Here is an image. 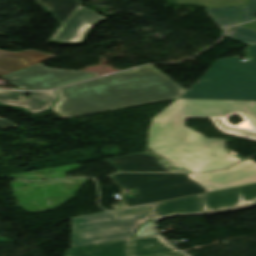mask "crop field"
<instances>
[{"instance_id": "1", "label": "crop field", "mask_w": 256, "mask_h": 256, "mask_svg": "<svg viewBox=\"0 0 256 256\" xmlns=\"http://www.w3.org/2000/svg\"><path fill=\"white\" fill-rule=\"evenodd\" d=\"M232 112H240L256 130V102L177 99L153 118L148 148L191 172L226 168L240 160L224 149L229 141L207 139L187 129L184 121L187 116L210 117L226 131L256 137V131L224 123Z\"/></svg>"}, {"instance_id": "2", "label": "crop field", "mask_w": 256, "mask_h": 256, "mask_svg": "<svg viewBox=\"0 0 256 256\" xmlns=\"http://www.w3.org/2000/svg\"><path fill=\"white\" fill-rule=\"evenodd\" d=\"M187 90L153 65L57 90L60 118L174 100ZM58 95V96H59Z\"/></svg>"}, {"instance_id": "3", "label": "crop field", "mask_w": 256, "mask_h": 256, "mask_svg": "<svg viewBox=\"0 0 256 256\" xmlns=\"http://www.w3.org/2000/svg\"><path fill=\"white\" fill-rule=\"evenodd\" d=\"M193 175L211 189L185 174L121 173L109 178L122 189L134 188L138 197L122 196L128 206H133L256 183V163L245 160L228 169Z\"/></svg>"}, {"instance_id": "4", "label": "crop field", "mask_w": 256, "mask_h": 256, "mask_svg": "<svg viewBox=\"0 0 256 256\" xmlns=\"http://www.w3.org/2000/svg\"><path fill=\"white\" fill-rule=\"evenodd\" d=\"M247 55L218 59L181 98L256 100V46Z\"/></svg>"}, {"instance_id": "5", "label": "crop field", "mask_w": 256, "mask_h": 256, "mask_svg": "<svg viewBox=\"0 0 256 256\" xmlns=\"http://www.w3.org/2000/svg\"><path fill=\"white\" fill-rule=\"evenodd\" d=\"M149 212L118 217L115 212L72 220L70 248L131 237Z\"/></svg>"}, {"instance_id": "6", "label": "crop field", "mask_w": 256, "mask_h": 256, "mask_svg": "<svg viewBox=\"0 0 256 256\" xmlns=\"http://www.w3.org/2000/svg\"><path fill=\"white\" fill-rule=\"evenodd\" d=\"M98 76L96 73L52 70L38 64L1 76V78L20 89L34 90L54 88Z\"/></svg>"}, {"instance_id": "7", "label": "crop field", "mask_w": 256, "mask_h": 256, "mask_svg": "<svg viewBox=\"0 0 256 256\" xmlns=\"http://www.w3.org/2000/svg\"><path fill=\"white\" fill-rule=\"evenodd\" d=\"M104 19L106 18L100 14L80 5L75 13L59 28L49 43L81 45L92 27Z\"/></svg>"}, {"instance_id": "8", "label": "crop field", "mask_w": 256, "mask_h": 256, "mask_svg": "<svg viewBox=\"0 0 256 256\" xmlns=\"http://www.w3.org/2000/svg\"><path fill=\"white\" fill-rule=\"evenodd\" d=\"M204 213L256 205V184L203 194Z\"/></svg>"}, {"instance_id": "9", "label": "crop field", "mask_w": 256, "mask_h": 256, "mask_svg": "<svg viewBox=\"0 0 256 256\" xmlns=\"http://www.w3.org/2000/svg\"><path fill=\"white\" fill-rule=\"evenodd\" d=\"M24 93H29L30 98H25ZM56 101L57 95L54 90L38 92L0 91V102L26 108L32 113L48 110Z\"/></svg>"}, {"instance_id": "10", "label": "crop field", "mask_w": 256, "mask_h": 256, "mask_svg": "<svg viewBox=\"0 0 256 256\" xmlns=\"http://www.w3.org/2000/svg\"><path fill=\"white\" fill-rule=\"evenodd\" d=\"M55 57V55L36 50H24L18 52L0 50V76Z\"/></svg>"}, {"instance_id": "11", "label": "crop field", "mask_w": 256, "mask_h": 256, "mask_svg": "<svg viewBox=\"0 0 256 256\" xmlns=\"http://www.w3.org/2000/svg\"><path fill=\"white\" fill-rule=\"evenodd\" d=\"M155 204V218L182 214L203 213L202 194Z\"/></svg>"}, {"instance_id": "12", "label": "crop field", "mask_w": 256, "mask_h": 256, "mask_svg": "<svg viewBox=\"0 0 256 256\" xmlns=\"http://www.w3.org/2000/svg\"><path fill=\"white\" fill-rule=\"evenodd\" d=\"M117 172L141 171V172H169L162 167L156 157L148 155H131L106 160Z\"/></svg>"}, {"instance_id": "13", "label": "crop field", "mask_w": 256, "mask_h": 256, "mask_svg": "<svg viewBox=\"0 0 256 256\" xmlns=\"http://www.w3.org/2000/svg\"><path fill=\"white\" fill-rule=\"evenodd\" d=\"M131 238L72 248L64 256H129Z\"/></svg>"}, {"instance_id": "14", "label": "crop field", "mask_w": 256, "mask_h": 256, "mask_svg": "<svg viewBox=\"0 0 256 256\" xmlns=\"http://www.w3.org/2000/svg\"><path fill=\"white\" fill-rule=\"evenodd\" d=\"M158 235L133 238L132 256H143L158 253L174 252Z\"/></svg>"}, {"instance_id": "15", "label": "crop field", "mask_w": 256, "mask_h": 256, "mask_svg": "<svg viewBox=\"0 0 256 256\" xmlns=\"http://www.w3.org/2000/svg\"><path fill=\"white\" fill-rule=\"evenodd\" d=\"M51 17L62 24L78 6V0H35Z\"/></svg>"}, {"instance_id": "16", "label": "crop field", "mask_w": 256, "mask_h": 256, "mask_svg": "<svg viewBox=\"0 0 256 256\" xmlns=\"http://www.w3.org/2000/svg\"><path fill=\"white\" fill-rule=\"evenodd\" d=\"M238 9L239 6L210 8L205 10L224 31L226 27L239 23Z\"/></svg>"}, {"instance_id": "17", "label": "crop field", "mask_w": 256, "mask_h": 256, "mask_svg": "<svg viewBox=\"0 0 256 256\" xmlns=\"http://www.w3.org/2000/svg\"><path fill=\"white\" fill-rule=\"evenodd\" d=\"M225 35L246 45L256 44V32L242 25L230 28Z\"/></svg>"}, {"instance_id": "18", "label": "crop field", "mask_w": 256, "mask_h": 256, "mask_svg": "<svg viewBox=\"0 0 256 256\" xmlns=\"http://www.w3.org/2000/svg\"><path fill=\"white\" fill-rule=\"evenodd\" d=\"M177 5L194 4L203 8L246 4L247 0H175Z\"/></svg>"}, {"instance_id": "19", "label": "crop field", "mask_w": 256, "mask_h": 256, "mask_svg": "<svg viewBox=\"0 0 256 256\" xmlns=\"http://www.w3.org/2000/svg\"><path fill=\"white\" fill-rule=\"evenodd\" d=\"M256 19V0H250L249 5L241 6V23Z\"/></svg>"}, {"instance_id": "20", "label": "crop field", "mask_w": 256, "mask_h": 256, "mask_svg": "<svg viewBox=\"0 0 256 256\" xmlns=\"http://www.w3.org/2000/svg\"><path fill=\"white\" fill-rule=\"evenodd\" d=\"M153 223L154 221L152 220L146 222L140 229L137 230L133 237L156 234L153 228Z\"/></svg>"}, {"instance_id": "21", "label": "crop field", "mask_w": 256, "mask_h": 256, "mask_svg": "<svg viewBox=\"0 0 256 256\" xmlns=\"http://www.w3.org/2000/svg\"><path fill=\"white\" fill-rule=\"evenodd\" d=\"M145 211H149V206L117 211L116 213L118 216H121V215H127V214H133V213H139V212H145Z\"/></svg>"}, {"instance_id": "22", "label": "crop field", "mask_w": 256, "mask_h": 256, "mask_svg": "<svg viewBox=\"0 0 256 256\" xmlns=\"http://www.w3.org/2000/svg\"><path fill=\"white\" fill-rule=\"evenodd\" d=\"M235 114H238V115H240V116L243 118V116H242L240 113H232V114H229L227 117H225V118L223 119V120L225 121V123H226V124H230L226 119L229 118V117L232 116V115H235ZM243 119H244V118H243ZM230 125H231V124H230ZM237 126L254 130V129L250 126V124H249L245 119H244L243 122H241V123L238 124Z\"/></svg>"}, {"instance_id": "23", "label": "crop field", "mask_w": 256, "mask_h": 256, "mask_svg": "<svg viewBox=\"0 0 256 256\" xmlns=\"http://www.w3.org/2000/svg\"><path fill=\"white\" fill-rule=\"evenodd\" d=\"M7 127H17L14 124H12L11 122L5 120V119H1L0 118V128H7Z\"/></svg>"}, {"instance_id": "24", "label": "crop field", "mask_w": 256, "mask_h": 256, "mask_svg": "<svg viewBox=\"0 0 256 256\" xmlns=\"http://www.w3.org/2000/svg\"><path fill=\"white\" fill-rule=\"evenodd\" d=\"M151 256H186V255L179 252H174V253L158 254V255H151Z\"/></svg>"}, {"instance_id": "25", "label": "crop field", "mask_w": 256, "mask_h": 256, "mask_svg": "<svg viewBox=\"0 0 256 256\" xmlns=\"http://www.w3.org/2000/svg\"><path fill=\"white\" fill-rule=\"evenodd\" d=\"M244 26H247L253 30H256V21L251 22V23H247V24H243Z\"/></svg>"}, {"instance_id": "26", "label": "crop field", "mask_w": 256, "mask_h": 256, "mask_svg": "<svg viewBox=\"0 0 256 256\" xmlns=\"http://www.w3.org/2000/svg\"><path fill=\"white\" fill-rule=\"evenodd\" d=\"M112 207H113V209H117V208H124L126 206L123 204V202H121V203H118L116 205H112Z\"/></svg>"}, {"instance_id": "27", "label": "crop field", "mask_w": 256, "mask_h": 256, "mask_svg": "<svg viewBox=\"0 0 256 256\" xmlns=\"http://www.w3.org/2000/svg\"><path fill=\"white\" fill-rule=\"evenodd\" d=\"M222 132H225L224 130L220 129ZM225 133H229V132H225ZM230 134H233V133H230ZM234 135H237V134H234ZM238 136H242V137H246V138H250V139H254L256 140V138H252V137H248V136H243V135H238Z\"/></svg>"}]
</instances>
